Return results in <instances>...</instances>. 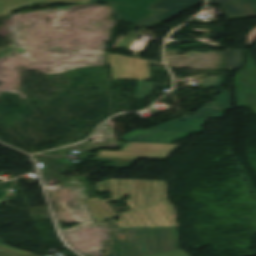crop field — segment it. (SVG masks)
Returning <instances> with one entry per match:
<instances>
[{
	"mask_svg": "<svg viewBox=\"0 0 256 256\" xmlns=\"http://www.w3.org/2000/svg\"><path fill=\"white\" fill-rule=\"evenodd\" d=\"M9 190L10 189L0 190V203H2V202L7 200L8 194H9Z\"/></svg>",
	"mask_w": 256,
	"mask_h": 256,
	"instance_id": "cbeb9de0",
	"label": "crop field"
},
{
	"mask_svg": "<svg viewBox=\"0 0 256 256\" xmlns=\"http://www.w3.org/2000/svg\"><path fill=\"white\" fill-rule=\"evenodd\" d=\"M154 85H161V83L139 82L137 85V89H136L134 98L145 99L146 96L149 93H151Z\"/></svg>",
	"mask_w": 256,
	"mask_h": 256,
	"instance_id": "3316defc",
	"label": "crop field"
},
{
	"mask_svg": "<svg viewBox=\"0 0 256 256\" xmlns=\"http://www.w3.org/2000/svg\"><path fill=\"white\" fill-rule=\"evenodd\" d=\"M5 241L0 239V256H26L30 253L11 248L7 245H5Z\"/></svg>",
	"mask_w": 256,
	"mask_h": 256,
	"instance_id": "28ad6ade",
	"label": "crop field"
},
{
	"mask_svg": "<svg viewBox=\"0 0 256 256\" xmlns=\"http://www.w3.org/2000/svg\"><path fill=\"white\" fill-rule=\"evenodd\" d=\"M224 76H221L219 78H213V77H208L206 80L203 81L202 85L203 86H220Z\"/></svg>",
	"mask_w": 256,
	"mask_h": 256,
	"instance_id": "d1516ede",
	"label": "crop field"
},
{
	"mask_svg": "<svg viewBox=\"0 0 256 256\" xmlns=\"http://www.w3.org/2000/svg\"><path fill=\"white\" fill-rule=\"evenodd\" d=\"M89 0H0V16L22 7H33L36 2L52 3H88Z\"/></svg>",
	"mask_w": 256,
	"mask_h": 256,
	"instance_id": "d8731c3e",
	"label": "crop field"
},
{
	"mask_svg": "<svg viewBox=\"0 0 256 256\" xmlns=\"http://www.w3.org/2000/svg\"><path fill=\"white\" fill-rule=\"evenodd\" d=\"M222 6L228 19L256 17V0H209Z\"/></svg>",
	"mask_w": 256,
	"mask_h": 256,
	"instance_id": "e52e79f7",
	"label": "crop field"
},
{
	"mask_svg": "<svg viewBox=\"0 0 256 256\" xmlns=\"http://www.w3.org/2000/svg\"><path fill=\"white\" fill-rule=\"evenodd\" d=\"M98 191H111L113 200L130 195L125 202L132 211L115 214L107 200L86 199L97 221L120 216L105 256H143L178 250L176 214L167 200V182L107 180Z\"/></svg>",
	"mask_w": 256,
	"mask_h": 256,
	"instance_id": "8a807250",
	"label": "crop field"
},
{
	"mask_svg": "<svg viewBox=\"0 0 256 256\" xmlns=\"http://www.w3.org/2000/svg\"><path fill=\"white\" fill-rule=\"evenodd\" d=\"M230 105V90H223L220 95L216 96L215 103H207L193 116H184L147 131L135 130L125 135L123 140L127 142L172 143L192 132H200L202 123L207 118H221L225 109L231 110Z\"/></svg>",
	"mask_w": 256,
	"mask_h": 256,
	"instance_id": "ac0d7876",
	"label": "crop field"
},
{
	"mask_svg": "<svg viewBox=\"0 0 256 256\" xmlns=\"http://www.w3.org/2000/svg\"><path fill=\"white\" fill-rule=\"evenodd\" d=\"M179 145L130 143L122 152L100 151L98 157L164 160Z\"/></svg>",
	"mask_w": 256,
	"mask_h": 256,
	"instance_id": "34b2d1b8",
	"label": "crop field"
},
{
	"mask_svg": "<svg viewBox=\"0 0 256 256\" xmlns=\"http://www.w3.org/2000/svg\"><path fill=\"white\" fill-rule=\"evenodd\" d=\"M159 0H90L89 2H109L113 5L118 20L138 23L158 12L150 9Z\"/></svg>",
	"mask_w": 256,
	"mask_h": 256,
	"instance_id": "412701ff",
	"label": "crop field"
},
{
	"mask_svg": "<svg viewBox=\"0 0 256 256\" xmlns=\"http://www.w3.org/2000/svg\"><path fill=\"white\" fill-rule=\"evenodd\" d=\"M112 79L142 81L151 79L146 61L108 54Z\"/></svg>",
	"mask_w": 256,
	"mask_h": 256,
	"instance_id": "f4fd0767",
	"label": "crop field"
},
{
	"mask_svg": "<svg viewBox=\"0 0 256 256\" xmlns=\"http://www.w3.org/2000/svg\"><path fill=\"white\" fill-rule=\"evenodd\" d=\"M246 54H249V52L246 50ZM250 55V54H249ZM251 57V56H250ZM251 59H252V57H251ZM252 61H253V59H252ZM254 62V61H253ZM254 64H255V62H254ZM255 66H256V64H255Z\"/></svg>",
	"mask_w": 256,
	"mask_h": 256,
	"instance_id": "5142ce71",
	"label": "crop field"
},
{
	"mask_svg": "<svg viewBox=\"0 0 256 256\" xmlns=\"http://www.w3.org/2000/svg\"><path fill=\"white\" fill-rule=\"evenodd\" d=\"M202 2L204 0H160L152 8L164 11L135 26L141 27L154 20L164 22Z\"/></svg>",
	"mask_w": 256,
	"mask_h": 256,
	"instance_id": "dd49c442",
	"label": "crop field"
},
{
	"mask_svg": "<svg viewBox=\"0 0 256 256\" xmlns=\"http://www.w3.org/2000/svg\"><path fill=\"white\" fill-rule=\"evenodd\" d=\"M229 72L232 73L242 64V50H226Z\"/></svg>",
	"mask_w": 256,
	"mask_h": 256,
	"instance_id": "5a996713",
	"label": "crop field"
},
{
	"mask_svg": "<svg viewBox=\"0 0 256 256\" xmlns=\"http://www.w3.org/2000/svg\"><path fill=\"white\" fill-rule=\"evenodd\" d=\"M149 256H188V255L184 253L182 250H178V251L160 253V254L149 255Z\"/></svg>",
	"mask_w": 256,
	"mask_h": 256,
	"instance_id": "22f410ed",
	"label": "crop field"
}]
</instances>
